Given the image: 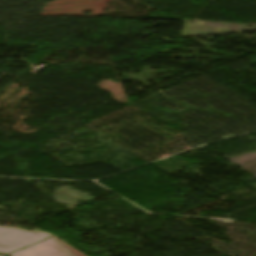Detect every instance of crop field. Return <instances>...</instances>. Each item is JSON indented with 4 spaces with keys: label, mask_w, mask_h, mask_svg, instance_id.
Wrapping results in <instances>:
<instances>
[{
    "label": "crop field",
    "mask_w": 256,
    "mask_h": 256,
    "mask_svg": "<svg viewBox=\"0 0 256 256\" xmlns=\"http://www.w3.org/2000/svg\"><path fill=\"white\" fill-rule=\"evenodd\" d=\"M51 236L46 232H26L0 227V254L10 253Z\"/></svg>",
    "instance_id": "8a807250"
},
{
    "label": "crop field",
    "mask_w": 256,
    "mask_h": 256,
    "mask_svg": "<svg viewBox=\"0 0 256 256\" xmlns=\"http://www.w3.org/2000/svg\"><path fill=\"white\" fill-rule=\"evenodd\" d=\"M10 256H73L54 236Z\"/></svg>",
    "instance_id": "ac0d7876"
}]
</instances>
